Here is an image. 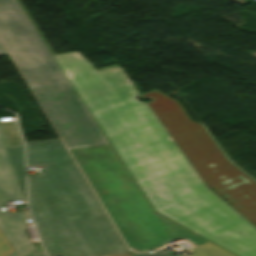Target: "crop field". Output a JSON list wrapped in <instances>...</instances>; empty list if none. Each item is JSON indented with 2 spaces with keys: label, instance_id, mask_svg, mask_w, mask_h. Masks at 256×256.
Segmentation results:
<instances>
[{
  "label": "crop field",
  "instance_id": "crop-field-1",
  "mask_svg": "<svg viewBox=\"0 0 256 256\" xmlns=\"http://www.w3.org/2000/svg\"><path fill=\"white\" fill-rule=\"evenodd\" d=\"M16 1L155 211L239 256H256V229L203 185L119 66L95 72L78 52L55 55Z\"/></svg>",
  "mask_w": 256,
  "mask_h": 256
},
{
  "label": "crop field",
  "instance_id": "crop-field-2",
  "mask_svg": "<svg viewBox=\"0 0 256 256\" xmlns=\"http://www.w3.org/2000/svg\"><path fill=\"white\" fill-rule=\"evenodd\" d=\"M0 39L128 247L188 238V256H235L150 209L15 0H0Z\"/></svg>",
  "mask_w": 256,
  "mask_h": 256
},
{
  "label": "crop field",
  "instance_id": "crop-field-3",
  "mask_svg": "<svg viewBox=\"0 0 256 256\" xmlns=\"http://www.w3.org/2000/svg\"><path fill=\"white\" fill-rule=\"evenodd\" d=\"M29 207L49 256L128 253L60 139L26 143Z\"/></svg>",
  "mask_w": 256,
  "mask_h": 256
},
{
  "label": "crop field",
  "instance_id": "crop-field-4",
  "mask_svg": "<svg viewBox=\"0 0 256 256\" xmlns=\"http://www.w3.org/2000/svg\"><path fill=\"white\" fill-rule=\"evenodd\" d=\"M204 182L256 225V183L224 157L199 123L177 101L154 90L143 95Z\"/></svg>",
  "mask_w": 256,
  "mask_h": 256
},
{
  "label": "crop field",
  "instance_id": "crop-field-5",
  "mask_svg": "<svg viewBox=\"0 0 256 256\" xmlns=\"http://www.w3.org/2000/svg\"><path fill=\"white\" fill-rule=\"evenodd\" d=\"M2 207L4 206H0ZM0 230L15 250L10 256H27L36 251L26 236L23 212L1 213L0 211Z\"/></svg>",
  "mask_w": 256,
  "mask_h": 256
},
{
  "label": "crop field",
  "instance_id": "crop-field-6",
  "mask_svg": "<svg viewBox=\"0 0 256 256\" xmlns=\"http://www.w3.org/2000/svg\"><path fill=\"white\" fill-rule=\"evenodd\" d=\"M15 200L23 199L0 130V205Z\"/></svg>",
  "mask_w": 256,
  "mask_h": 256
},
{
  "label": "crop field",
  "instance_id": "crop-field-7",
  "mask_svg": "<svg viewBox=\"0 0 256 256\" xmlns=\"http://www.w3.org/2000/svg\"><path fill=\"white\" fill-rule=\"evenodd\" d=\"M6 147H7L15 174H16V178H17L23 199L26 200L23 144L10 145Z\"/></svg>",
  "mask_w": 256,
  "mask_h": 256
},
{
  "label": "crop field",
  "instance_id": "crop-field-8",
  "mask_svg": "<svg viewBox=\"0 0 256 256\" xmlns=\"http://www.w3.org/2000/svg\"><path fill=\"white\" fill-rule=\"evenodd\" d=\"M6 145L22 143L16 122L0 124Z\"/></svg>",
  "mask_w": 256,
  "mask_h": 256
},
{
  "label": "crop field",
  "instance_id": "crop-field-9",
  "mask_svg": "<svg viewBox=\"0 0 256 256\" xmlns=\"http://www.w3.org/2000/svg\"><path fill=\"white\" fill-rule=\"evenodd\" d=\"M13 249L0 232V256H8L13 253Z\"/></svg>",
  "mask_w": 256,
  "mask_h": 256
},
{
  "label": "crop field",
  "instance_id": "crop-field-10",
  "mask_svg": "<svg viewBox=\"0 0 256 256\" xmlns=\"http://www.w3.org/2000/svg\"><path fill=\"white\" fill-rule=\"evenodd\" d=\"M132 256H172V255L168 251L162 250L154 254L143 253V254H133ZM178 256H184V255H178Z\"/></svg>",
  "mask_w": 256,
  "mask_h": 256
},
{
  "label": "crop field",
  "instance_id": "crop-field-11",
  "mask_svg": "<svg viewBox=\"0 0 256 256\" xmlns=\"http://www.w3.org/2000/svg\"><path fill=\"white\" fill-rule=\"evenodd\" d=\"M7 52L5 51V49L3 48V46L0 43V55H6Z\"/></svg>",
  "mask_w": 256,
  "mask_h": 256
},
{
  "label": "crop field",
  "instance_id": "crop-field-12",
  "mask_svg": "<svg viewBox=\"0 0 256 256\" xmlns=\"http://www.w3.org/2000/svg\"><path fill=\"white\" fill-rule=\"evenodd\" d=\"M34 244L39 248L40 251L42 250V248L38 242H34Z\"/></svg>",
  "mask_w": 256,
  "mask_h": 256
},
{
  "label": "crop field",
  "instance_id": "crop-field-13",
  "mask_svg": "<svg viewBox=\"0 0 256 256\" xmlns=\"http://www.w3.org/2000/svg\"><path fill=\"white\" fill-rule=\"evenodd\" d=\"M29 256H39V255H38V252H34V253L30 254Z\"/></svg>",
  "mask_w": 256,
  "mask_h": 256
},
{
  "label": "crop field",
  "instance_id": "crop-field-14",
  "mask_svg": "<svg viewBox=\"0 0 256 256\" xmlns=\"http://www.w3.org/2000/svg\"><path fill=\"white\" fill-rule=\"evenodd\" d=\"M115 256H131L130 254L115 255Z\"/></svg>",
  "mask_w": 256,
  "mask_h": 256
},
{
  "label": "crop field",
  "instance_id": "crop-field-15",
  "mask_svg": "<svg viewBox=\"0 0 256 256\" xmlns=\"http://www.w3.org/2000/svg\"><path fill=\"white\" fill-rule=\"evenodd\" d=\"M40 253H41V256H45V254L43 253V251H41Z\"/></svg>",
  "mask_w": 256,
  "mask_h": 256
}]
</instances>
